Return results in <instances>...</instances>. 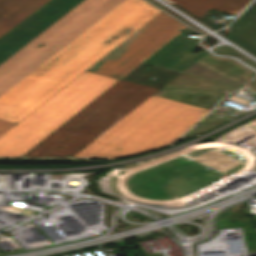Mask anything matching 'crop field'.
<instances>
[{
	"label": "crop field",
	"mask_w": 256,
	"mask_h": 256,
	"mask_svg": "<svg viewBox=\"0 0 256 256\" xmlns=\"http://www.w3.org/2000/svg\"><path fill=\"white\" fill-rule=\"evenodd\" d=\"M208 111L152 95L75 156L115 158L165 146Z\"/></svg>",
	"instance_id": "obj_2"
},
{
	"label": "crop field",
	"mask_w": 256,
	"mask_h": 256,
	"mask_svg": "<svg viewBox=\"0 0 256 256\" xmlns=\"http://www.w3.org/2000/svg\"><path fill=\"white\" fill-rule=\"evenodd\" d=\"M161 12L144 0H125L0 96V119L17 123Z\"/></svg>",
	"instance_id": "obj_1"
},
{
	"label": "crop field",
	"mask_w": 256,
	"mask_h": 256,
	"mask_svg": "<svg viewBox=\"0 0 256 256\" xmlns=\"http://www.w3.org/2000/svg\"><path fill=\"white\" fill-rule=\"evenodd\" d=\"M176 4L195 17L201 19L209 10H218L237 14L251 0H166Z\"/></svg>",
	"instance_id": "obj_11"
},
{
	"label": "crop field",
	"mask_w": 256,
	"mask_h": 256,
	"mask_svg": "<svg viewBox=\"0 0 256 256\" xmlns=\"http://www.w3.org/2000/svg\"><path fill=\"white\" fill-rule=\"evenodd\" d=\"M115 81L84 71L0 136V156L22 155Z\"/></svg>",
	"instance_id": "obj_4"
},
{
	"label": "crop field",
	"mask_w": 256,
	"mask_h": 256,
	"mask_svg": "<svg viewBox=\"0 0 256 256\" xmlns=\"http://www.w3.org/2000/svg\"><path fill=\"white\" fill-rule=\"evenodd\" d=\"M82 0H53L0 40V64Z\"/></svg>",
	"instance_id": "obj_7"
},
{
	"label": "crop field",
	"mask_w": 256,
	"mask_h": 256,
	"mask_svg": "<svg viewBox=\"0 0 256 256\" xmlns=\"http://www.w3.org/2000/svg\"><path fill=\"white\" fill-rule=\"evenodd\" d=\"M185 28L162 12L86 71L119 79Z\"/></svg>",
	"instance_id": "obj_6"
},
{
	"label": "crop field",
	"mask_w": 256,
	"mask_h": 256,
	"mask_svg": "<svg viewBox=\"0 0 256 256\" xmlns=\"http://www.w3.org/2000/svg\"><path fill=\"white\" fill-rule=\"evenodd\" d=\"M158 90L120 79L22 156H73Z\"/></svg>",
	"instance_id": "obj_3"
},
{
	"label": "crop field",
	"mask_w": 256,
	"mask_h": 256,
	"mask_svg": "<svg viewBox=\"0 0 256 256\" xmlns=\"http://www.w3.org/2000/svg\"><path fill=\"white\" fill-rule=\"evenodd\" d=\"M191 31L188 27L147 58L143 63L165 68L181 73L200 57L206 54V50L198 53L191 52L197 45L199 38L184 37Z\"/></svg>",
	"instance_id": "obj_8"
},
{
	"label": "crop field",
	"mask_w": 256,
	"mask_h": 256,
	"mask_svg": "<svg viewBox=\"0 0 256 256\" xmlns=\"http://www.w3.org/2000/svg\"><path fill=\"white\" fill-rule=\"evenodd\" d=\"M49 0H0V36Z\"/></svg>",
	"instance_id": "obj_10"
},
{
	"label": "crop field",
	"mask_w": 256,
	"mask_h": 256,
	"mask_svg": "<svg viewBox=\"0 0 256 256\" xmlns=\"http://www.w3.org/2000/svg\"><path fill=\"white\" fill-rule=\"evenodd\" d=\"M225 37L256 56V0L230 26V32Z\"/></svg>",
	"instance_id": "obj_9"
},
{
	"label": "crop field",
	"mask_w": 256,
	"mask_h": 256,
	"mask_svg": "<svg viewBox=\"0 0 256 256\" xmlns=\"http://www.w3.org/2000/svg\"><path fill=\"white\" fill-rule=\"evenodd\" d=\"M13 125H15V123L0 120V135H2L5 131H7Z\"/></svg>",
	"instance_id": "obj_12"
},
{
	"label": "crop field",
	"mask_w": 256,
	"mask_h": 256,
	"mask_svg": "<svg viewBox=\"0 0 256 256\" xmlns=\"http://www.w3.org/2000/svg\"><path fill=\"white\" fill-rule=\"evenodd\" d=\"M124 0H84L0 65V95Z\"/></svg>",
	"instance_id": "obj_5"
}]
</instances>
